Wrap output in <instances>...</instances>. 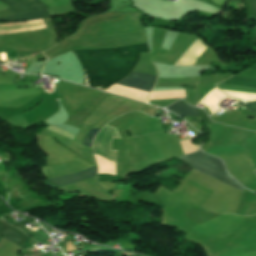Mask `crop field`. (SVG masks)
<instances>
[{
  "label": "crop field",
  "mask_w": 256,
  "mask_h": 256,
  "mask_svg": "<svg viewBox=\"0 0 256 256\" xmlns=\"http://www.w3.org/2000/svg\"><path fill=\"white\" fill-rule=\"evenodd\" d=\"M79 60L87 86L105 91L129 75L139 52H149L147 45H133L112 50L72 51Z\"/></svg>",
  "instance_id": "8a807250"
},
{
  "label": "crop field",
  "mask_w": 256,
  "mask_h": 256,
  "mask_svg": "<svg viewBox=\"0 0 256 256\" xmlns=\"http://www.w3.org/2000/svg\"><path fill=\"white\" fill-rule=\"evenodd\" d=\"M177 159L240 191H243V188L239 186L236 181L227 174L223 168L221 160L217 158L204 155L198 151L185 156H181Z\"/></svg>",
  "instance_id": "ac0d7876"
},
{
  "label": "crop field",
  "mask_w": 256,
  "mask_h": 256,
  "mask_svg": "<svg viewBox=\"0 0 256 256\" xmlns=\"http://www.w3.org/2000/svg\"><path fill=\"white\" fill-rule=\"evenodd\" d=\"M156 77L131 71L130 75L117 84L133 87L150 92L155 83Z\"/></svg>",
  "instance_id": "34b2d1b8"
},
{
  "label": "crop field",
  "mask_w": 256,
  "mask_h": 256,
  "mask_svg": "<svg viewBox=\"0 0 256 256\" xmlns=\"http://www.w3.org/2000/svg\"><path fill=\"white\" fill-rule=\"evenodd\" d=\"M43 9H50L43 3L39 2L38 0H31L16 6H13L11 8H7L0 11V17L3 16H10V15H17V14H25L30 13L38 10Z\"/></svg>",
  "instance_id": "412701ff"
},
{
  "label": "crop field",
  "mask_w": 256,
  "mask_h": 256,
  "mask_svg": "<svg viewBox=\"0 0 256 256\" xmlns=\"http://www.w3.org/2000/svg\"><path fill=\"white\" fill-rule=\"evenodd\" d=\"M96 175H97V169L92 167V168H89L87 170L81 171V172L76 173V174L50 179V181L62 186V185H66V184H69V183L84 180V179H87V178L95 177Z\"/></svg>",
  "instance_id": "f4fd0767"
},
{
  "label": "crop field",
  "mask_w": 256,
  "mask_h": 256,
  "mask_svg": "<svg viewBox=\"0 0 256 256\" xmlns=\"http://www.w3.org/2000/svg\"><path fill=\"white\" fill-rule=\"evenodd\" d=\"M166 109L173 111L180 116H199L198 108H193L182 104L180 101L172 104Z\"/></svg>",
  "instance_id": "dd49c442"
},
{
  "label": "crop field",
  "mask_w": 256,
  "mask_h": 256,
  "mask_svg": "<svg viewBox=\"0 0 256 256\" xmlns=\"http://www.w3.org/2000/svg\"><path fill=\"white\" fill-rule=\"evenodd\" d=\"M50 17L47 10L36 12V13H30L25 15H18V16H11V17H3L0 18V22L2 21H26V20H35L40 18H47Z\"/></svg>",
  "instance_id": "e52e79f7"
},
{
  "label": "crop field",
  "mask_w": 256,
  "mask_h": 256,
  "mask_svg": "<svg viewBox=\"0 0 256 256\" xmlns=\"http://www.w3.org/2000/svg\"><path fill=\"white\" fill-rule=\"evenodd\" d=\"M98 131H100V129L92 128L87 137L85 138L83 145L91 148L92 141Z\"/></svg>",
  "instance_id": "d8731c3e"
},
{
  "label": "crop field",
  "mask_w": 256,
  "mask_h": 256,
  "mask_svg": "<svg viewBox=\"0 0 256 256\" xmlns=\"http://www.w3.org/2000/svg\"><path fill=\"white\" fill-rule=\"evenodd\" d=\"M25 1H27V0H0V2L4 3L5 5H7L9 7L19 4L21 2H25Z\"/></svg>",
  "instance_id": "5a996713"
},
{
  "label": "crop field",
  "mask_w": 256,
  "mask_h": 256,
  "mask_svg": "<svg viewBox=\"0 0 256 256\" xmlns=\"http://www.w3.org/2000/svg\"><path fill=\"white\" fill-rule=\"evenodd\" d=\"M250 112L256 113V102L244 105Z\"/></svg>",
  "instance_id": "3316defc"
},
{
  "label": "crop field",
  "mask_w": 256,
  "mask_h": 256,
  "mask_svg": "<svg viewBox=\"0 0 256 256\" xmlns=\"http://www.w3.org/2000/svg\"><path fill=\"white\" fill-rule=\"evenodd\" d=\"M194 147H195L197 150H199V149H198V146L194 145Z\"/></svg>",
  "instance_id": "28ad6ade"
}]
</instances>
